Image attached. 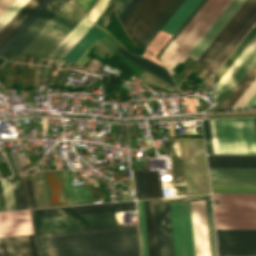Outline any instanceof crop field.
Instances as JSON below:
<instances>
[{
  "label": "crop field",
  "mask_w": 256,
  "mask_h": 256,
  "mask_svg": "<svg viewBox=\"0 0 256 256\" xmlns=\"http://www.w3.org/2000/svg\"><path fill=\"white\" fill-rule=\"evenodd\" d=\"M255 105H256V92H255V94L250 98V100L245 104L244 107L255 106Z\"/></svg>",
  "instance_id": "crop-field-54"
},
{
  "label": "crop field",
  "mask_w": 256,
  "mask_h": 256,
  "mask_svg": "<svg viewBox=\"0 0 256 256\" xmlns=\"http://www.w3.org/2000/svg\"><path fill=\"white\" fill-rule=\"evenodd\" d=\"M139 1L140 0H131V2L126 6V8L121 12V14L118 16L121 23L128 16V14L132 11V9L136 6V4Z\"/></svg>",
  "instance_id": "crop-field-44"
},
{
  "label": "crop field",
  "mask_w": 256,
  "mask_h": 256,
  "mask_svg": "<svg viewBox=\"0 0 256 256\" xmlns=\"http://www.w3.org/2000/svg\"><path fill=\"white\" fill-rule=\"evenodd\" d=\"M92 25L85 16L48 58L61 59Z\"/></svg>",
  "instance_id": "crop-field-20"
},
{
  "label": "crop field",
  "mask_w": 256,
  "mask_h": 256,
  "mask_svg": "<svg viewBox=\"0 0 256 256\" xmlns=\"http://www.w3.org/2000/svg\"><path fill=\"white\" fill-rule=\"evenodd\" d=\"M255 91H256V78L250 84V86L245 90V92L241 95V97L237 100V102L232 106L231 109L243 107L244 104L249 100V98L254 94Z\"/></svg>",
  "instance_id": "crop-field-39"
},
{
  "label": "crop field",
  "mask_w": 256,
  "mask_h": 256,
  "mask_svg": "<svg viewBox=\"0 0 256 256\" xmlns=\"http://www.w3.org/2000/svg\"><path fill=\"white\" fill-rule=\"evenodd\" d=\"M84 16L76 3L69 0L20 55L47 58Z\"/></svg>",
  "instance_id": "crop-field-3"
},
{
  "label": "crop field",
  "mask_w": 256,
  "mask_h": 256,
  "mask_svg": "<svg viewBox=\"0 0 256 256\" xmlns=\"http://www.w3.org/2000/svg\"><path fill=\"white\" fill-rule=\"evenodd\" d=\"M130 210H135L133 201L37 209V210H31V212H32V218L37 219V218L73 216V215L130 211Z\"/></svg>",
  "instance_id": "crop-field-13"
},
{
  "label": "crop field",
  "mask_w": 256,
  "mask_h": 256,
  "mask_svg": "<svg viewBox=\"0 0 256 256\" xmlns=\"http://www.w3.org/2000/svg\"><path fill=\"white\" fill-rule=\"evenodd\" d=\"M140 206H141L142 227H143V235H144V243H145V254H146V256H148V248H147V238H146V227H145V216H144L143 201H140Z\"/></svg>",
  "instance_id": "crop-field-46"
},
{
  "label": "crop field",
  "mask_w": 256,
  "mask_h": 256,
  "mask_svg": "<svg viewBox=\"0 0 256 256\" xmlns=\"http://www.w3.org/2000/svg\"><path fill=\"white\" fill-rule=\"evenodd\" d=\"M130 0H119L116 4L117 14L124 9V7L129 3Z\"/></svg>",
  "instance_id": "crop-field-52"
},
{
  "label": "crop field",
  "mask_w": 256,
  "mask_h": 256,
  "mask_svg": "<svg viewBox=\"0 0 256 256\" xmlns=\"http://www.w3.org/2000/svg\"><path fill=\"white\" fill-rule=\"evenodd\" d=\"M68 0H54L46 10L33 22V24L21 35V37L8 49L3 57L10 58L14 54H20L23 49L34 39L44 26L66 4Z\"/></svg>",
  "instance_id": "crop-field-14"
},
{
  "label": "crop field",
  "mask_w": 256,
  "mask_h": 256,
  "mask_svg": "<svg viewBox=\"0 0 256 256\" xmlns=\"http://www.w3.org/2000/svg\"><path fill=\"white\" fill-rule=\"evenodd\" d=\"M230 0H207L175 39L187 54Z\"/></svg>",
  "instance_id": "crop-field-8"
},
{
  "label": "crop field",
  "mask_w": 256,
  "mask_h": 256,
  "mask_svg": "<svg viewBox=\"0 0 256 256\" xmlns=\"http://www.w3.org/2000/svg\"><path fill=\"white\" fill-rule=\"evenodd\" d=\"M41 250L138 242L134 226L35 235ZM42 256H140L138 243L41 251Z\"/></svg>",
  "instance_id": "crop-field-1"
},
{
  "label": "crop field",
  "mask_w": 256,
  "mask_h": 256,
  "mask_svg": "<svg viewBox=\"0 0 256 256\" xmlns=\"http://www.w3.org/2000/svg\"><path fill=\"white\" fill-rule=\"evenodd\" d=\"M213 193H256V183H211Z\"/></svg>",
  "instance_id": "crop-field-31"
},
{
  "label": "crop field",
  "mask_w": 256,
  "mask_h": 256,
  "mask_svg": "<svg viewBox=\"0 0 256 256\" xmlns=\"http://www.w3.org/2000/svg\"><path fill=\"white\" fill-rule=\"evenodd\" d=\"M0 211H1V209H0Z\"/></svg>",
  "instance_id": "crop-field-57"
},
{
  "label": "crop field",
  "mask_w": 256,
  "mask_h": 256,
  "mask_svg": "<svg viewBox=\"0 0 256 256\" xmlns=\"http://www.w3.org/2000/svg\"><path fill=\"white\" fill-rule=\"evenodd\" d=\"M256 77V63L251 67L243 79L238 83V85L232 90V92L227 96L223 103L218 107L220 109H230L231 106L236 102L244 90L249 86V84Z\"/></svg>",
  "instance_id": "crop-field-28"
},
{
  "label": "crop field",
  "mask_w": 256,
  "mask_h": 256,
  "mask_svg": "<svg viewBox=\"0 0 256 256\" xmlns=\"http://www.w3.org/2000/svg\"><path fill=\"white\" fill-rule=\"evenodd\" d=\"M175 256H194L189 202L170 203Z\"/></svg>",
  "instance_id": "crop-field-10"
},
{
  "label": "crop field",
  "mask_w": 256,
  "mask_h": 256,
  "mask_svg": "<svg viewBox=\"0 0 256 256\" xmlns=\"http://www.w3.org/2000/svg\"><path fill=\"white\" fill-rule=\"evenodd\" d=\"M206 2V0H202L199 5L194 9V11L189 15V17L185 20V22L180 26V28L173 35L174 39L181 32V30L186 26V24L191 20V18L196 14V12L201 8V6Z\"/></svg>",
  "instance_id": "crop-field-45"
},
{
  "label": "crop field",
  "mask_w": 256,
  "mask_h": 256,
  "mask_svg": "<svg viewBox=\"0 0 256 256\" xmlns=\"http://www.w3.org/2000/svg\"><path fill=\"white\" fill-rule=\"evenodd\" d=\"M200 1L201 0H185L161 31L173 35Z\"/></svg>",
  "instance_id": "crop-field-26"
},
{
  "label": "crop field",
  "mask_w": 256,
  "mask_h": 256,
  "mask_svg": "<svg viewBox=\"0 0 256 256\" xmlns=\"http://www.w3.org/2000/svg\"><path fill=\"white\" fill-rule=\"evenodd\" d=\"M29 0H16L0 17V31L9 23V21L20 11V9Z\"/></svg>",
  "instance_id": "crop-field-35"
},
{
  "label": "crop field",
  "mask_w": 256,
  "mask_h": 256,
  "mask_svg": "<svg viewBox=\"0 0 256 256\" xmlns=\"http://www.w3.org/2000/svg\"><path fill=\"white\" fill-rule=\"evenodd\" d=\"M172 0H141L122 23L137 44Z\"/></svg>",
  "instance_id": "crop-field-9"
},
{
  "label": "crop field",
  "mask_w": 256,
  "mask_h": 256,
  "mask_svg": "<svg viewBox=\"0 0 256 256\" xmlns=\"http://www.w3.org/2000/svg\"><path fill=\"white\" fill-rule=\"evenodd\" d=\"M103 32L93 25L62 59L76 62Z\"/></svg>",
  "instance_id": "crop-field-24"
},
{
  "label": "crop field",
  "mask_w": 256,
  "mask_h": 256,
  "mask_svg": "<svg viewBox=\"0 0 256 256\" xmlns=\"http://www.w3.org/2000/svg\"><path fill=\"white\" fill-rule=\"evenodd\" d=\"M206 149L208 154H213L209 120L202 121Z\"/></svg>",
  "instance_id": "crop-field-41"
},
{
  "label": "crop field",
  "mask_w": 256,
  "mask_h": 256,
  "mask_svg": "<svg viewBox=\"0 0 256 256\" xmlns=\"http://www.w3.org/2000/svg\"><path fill=\"white\" fill-rule=\"evenodd\" d=\"M24 180H25L29 205L31 208H36L29 174L24 177Z\"/></svg>",
  "instance_id": "crop-field-43"
},
{
  "label": "crop field",
  "mask_w": 256,
  "mask_h": 256,
  "mask_svg": "<svg viewBox=\"0 0 256 256\" xmlns=\"http://www.w3.org/2000/svg\"><path fill=\"white\" fill-rule=\"evenodd\" d=\"M256 35V27H253L251 31L246 35V37L241 41V43L236 47V49L231 53V55L226 59V61L221 65V67L214 74L215 84L221 78V76L226 72L230 65L235 61V59L240 55V53L245 49L249 42Z\"/></svg>",
  "instance_id": "crop-field-29"
},
{
  "label": "crop field",
  "mask_w": 256,
  "mask_h": 256,
  "mask_svg": "<svg viewBox=\"0 0 256 256\" xmlns=\"http://www.w3.org/2000/svg\"><path fill=\"white\" fill-rule=\"evenodd\" d=\"M115 53L123 56L124 58L130 60L131 62L135 63L136 65H138L139 67L148 71L149 73L167 81L168 83H170L171 85L174 86V84H173L171 78L169 77L165 68H163V67H161L143 57L131 54L127 50L123 49L121 46L115 51Z\"/></svg>",
  "instance_id": "crop-field-21"
},
{
  "label": "crop field",
  "mask_w": 256,
  "mask_h": 256,
  "mask_svg": "<svg viewBox=\"0 0 256 256\" xmlns=\"http://www.w3.org/2000/svg\"><path fill=\"white\" fill-rule=\"evenodd\" d=\"M210 124H211V133H212L214 154H218L213 120H210Z\"/></svg>",
  "instance_id": "crop-field-50"
},
{
  "label": "crop field",
  "mask_w": 256,
  "mask_h": 256,
  "mask_svg": "<svg viewBox=\"0 0 256 256\" xmlns=\"http://www.w3.org/2000/svg\"><path fill=\"white\" fill-rule=\"evenodd\" d=\"M255 121H256V118H255Z\"/></svg>",
  "instance_id": "crop-field-56"
},
{
  "label": "crop field",
  "mask_w": 256,
  "mask_h": 256,
  "mask_svg": "<svg viewBox=\"0 0 256 256\" xmlns=\"http://www.w3.org/2000/svg\"><path fill=\"white\" fill-rule=\"evenodd\" d=\"M245 0H231L226 8L221 12L217 19L207 29L203 36L198 40L194 47L189 51L188 55L194 59L203 53L207 46L217 36L221 29L226 25L230 18L235 14Z\"/></svg>",
  "instance_id": "crop-field-15"
},
{
  "label": "crop field",
  "mask_w": 256,
  "mask_h": 256,
  "mask_svg": "<svg viewBox=\"0 0 256 256\" xmlns=\"http://www.w3.org/2000/svg\"><path fill=\"white\" fill-rule=\"evenodd\" d=\"M53 0H42L31 13L20 23V25L9 35V37L0 45V56L8 47L24 32V30L40 15V13Z\"/></svg>",
  "instance_id": "crop-field-22"
},
{
  "label": "crop field",
  "mask_w": 256,
  "mask_h": 256,
  "mask_svg": "<svg viewBox=\"0 0 256 256\" xmlns=\"http://www.w3.org/2000/svg\"><path fill=\"white\" fill-rule=\"evenodd\" d=\"M109 0H99V2L95 5V7L90 11V13L87 15L89 20L94 23V21L97 19L99 14L102 12V10L105 8L107 2Z\"/></svg>",
  "instance_id": "crop-field-42"
},
{
  "label": "crop field",
  "mask_w": 256,
  "mask_h": 256,
  "mask_svg": "<svg viewBox=\"0 0 256 256\" xmlns=\"http://www.w3.org/2000/svg\"><path fill=\"white\" fill-rule=\"evenodd\" d=\"M211 182H256V169L209 168Z\"/></svg>",
  "instance_id": "crop-field-19"
},
{
  "label": "crop field",
  "mask_w": 256,
  "mask_h": 256,
  "mask_svg": "<svg viewBox=\"0 0 256 256\" xmlns=\"http://www.w3.org/2000/svg\"><path fill=\"white\" fill-rule=\"evenodd\" d=\"M256 61V46L252 51L247 55V57L242 61L238 68L233 72V74L228 78V80L223 84V86L218 90L215 97L219 93L226 91L228 89L234 88L240 79L245 75L249 68Z\"/></svg>",
  "instance_id": "crop-field-27"
},
{
  "label": "crop field",
  "mask_w": 256,
  "mask_h": 256,
  "mask_svg": "<svg viewBox=\"0 0 256 256\" xmlns=\"http://www.w3.org/2000/svg\"><path fill=\"white\" fill-rule=\"evenodd\" d=\"M81 9L86 14L87 11L91 8V6L96 2V0H75Z\"/></svg>",
  "instance_id": "crop-field-47"
},
{
  "label": "crop field",
  "mask_w": 256,
  "mask_h": 256,
  "mask_svg": "<svg viewBox=\"0 0 256 256\" xmlns=\"http://www.w3.org/2000/svg\"><path fill=\"white\" fill-rule=\"evenodd\" d=\"M219 154H256L254 118L214 120Z\"/></svg>",
  "instance_id": "crop-field-5"
},
{
  "label": "crop field",
  "mask_w": 256,
  "mask_h": 256,
  "mask_svg": "<svg viewBox=\"0 0 256 256\" xmlns=\"http://www.w3.org/2000/svg\"><path fill=\"white\" fill-rule=\"evenodd\" d=\"M0 203H1V205H5L4 198H3V193H2V188H1V183H0Z\"/></svg>",
  "instance_id": "crop-field-55"
},
{
  "label": "crop field",
  "mask_w": 256,
  "mask_h": 256,
  "mask_svg": "<svg viewBox=\"0 0 256 256\" xmlns=\"http://www.w3.org/2000/svg\"><path fill=\"white\" fill-rule=\"evenodd\" d=\"M1 183L7 210H15L10 181L7 182V180L4 179L1 180Z\"/></svg>",
  "instance_id": "crop-field-38"
},
{
  "label": "crop field",
  "mask_w": 256,
  "mask_h": 256,
  "mask_svg": "<svg viewBox=\"0 0 256 256\" xmlns=\"http://www.w3.org/2000/svg\"><path fill=\"white\" fill-rule=\"evenodd\" d=\"M133 178L137 198H148L143 171H133Z\"/></svg>",
  "instance_id": "crop-field-36"
},
{
  "label": "crop field",
  "mask_w": 256,
  "mask_h": 256,
  "mask_svg": "<svg viewBox=\"0 0 256 256\" xmlns=\"http://www.w3.org/2000/svg\"><path fill=\"white\" fill-rule=\"evenodd\" d=\"M216 229H256V194H213Z\"/></svg>",
  "instance_id": "crop-field-4"
},
{
  "label": "crop field",
  "mask_w": 256,
  "mask_h": 256,
  "mask_svg": "<svg viewBox=\"0 0 256 256\" xmlns=\"http://www.w3.org/2000/svg\"><path fill=\"white\" fill-rule=\"evenodd\" d=\"M256 25V24H255Z\"/></svg>",
  "instance_id": "crop-field-58"
},
{
  "label": "crop field",
  "mask_w": 256,
  "mask_h": 256,
  "mask_svg": "<svg viewBox=\"0 0 256 256\" xmlns=\"http://www.w3.org/2000/svg\"><path fill=\"white\" fill-rule=\"evenodd\" d=\"M0 172L3 178L4 175H6V177L11 176V172L6 162L0 163Z\"/></svg>",
  "instance_id": "crop-field-49"
},
{
  "label": "crop field",
  "mask_w": 256,
  "mask_h": 256,
  "mask_svg": "<svg viewBox=\"0 0 256 256\" xmlns=\"http://www.w3.org/2000/svg\"><path fill=\"white\" fill-rule=\"evenodd\" d=\"M149 198L162 197L158 171H144Z\"/></svg>",
  "instance_id": "crop-field-33"
},
{
  "label": "crop field",
  "mask_w": 256,
  "mask_h": 256,
  "mask_svg": "<svg viewBox=\"0 0 256 256\" xmlns=\"http://www.w3.org/2000/svg\"><path fill=\"white\" fill-rule=\"evenodd\" d=\"M144 205H145V215H146V224H147V233H148L149 254L150 256H154L148 200L144 201Z\"/></svg>",
  "instance_id": "crop-field-40"
},
{
  "label": "crop field",
  "mask_w": 256,
  "mask_h": 256,
  "mask_svg": "<svg viewBox=\"0 0 256 256\" xmlns=\"http://www.w3.org/2000/svg\"><path fill=\"white\" fill-rule=\"evenodd\" d=\"M183 1L184 0H173L171 4L167 7V9L158 18V20L144 35V37L139 41L138 45L146 48L147 45L157 35L162 26L167 22V20L172 16V14L177 10V8L182 4Z\"/></svg>",
  "instance_id": "crop-field-25"
},
{
  "label": "crop field",
  "mask_w": 256,
  "mask_h": 256,
  "mask_svg": "<svg viewBox=\"0 0 256 256\" xmlns=\"http://www.w3.org/2000/svg\"><path fill=\"white\" fill-rule=\"evenodd\" d=\"M33 234L28 210L0 212V237Z\"/></svg>",
  "instance_id": "crop-field-17"
},
{
  "label": "crop field",
  "mask_w": 256,
  "mask_h": 256,
  "mask_svg": "<svg viewBox=\"0 0 256 256\" xmlns=\"http://www.w3.org/2000/svg\"><path fill=\"white\" fill-rule=\"evenodd\" d=\"M0 256H40L33 235L0 238Z\"/></svg>",
  "instance_id": "crop-field-18"
},
{
  "label": "crop field",
  "mask_w": 256,
  "mask_h": 256,
  "mask_svg": "<svg viewBox=\"0 0 256 256\" xmlns=\"http://www.w3.org/2000/svg\"><path fill=\"white\" fill-rule=\"evenodd\" d=\"M209 167L256 168V156H207Z\"/></svg>",
  "instance_id": "crop-field-23"
},
{
  "label": "crop field",
  "mask_w": 256,
  "mask_h": 256,
  "mask_svg": "<svg viewBox=\"0 0 256 256\" xmlns=\"http://www.w3.org/2000/svg\"><path fill=\"white\" fill-rule=\"evenodd\" d=\"M35 234L116 227L114 213L32 220Z\"/></svg>",
  "instance_id": "crop-field-7"
},
{
  "label": "crop field",
  "mask_w": 256,
  "mask_h": 256,
  "mask_svg": "<svg viewBox=\"0 0 256 256\" xmlns=\"http://www.w3.org/2000/svg\"><path fill=\"white\" fill-rule=\"evenodd\" d=\"M195 256H209L204 201L190 202Z\"/></svg>",
  "instance_id": "crop-field-16"
},
{
  "label": "crop field",
  "mask_w": 256,
  "mask_h": 256,
  "mask_svg": "<svg viewBox=\"0 0 256 256\" xmlns=\"http://www.w3.org/2000/svg\"><path fill=\"white\" fill-rule=\"evenodd\" d=\"M256 45V36L246 47V49L241 53V55L236 59V61L231 65L227 72L222 76V78L215 85V92L221 87V85L226 81V79L231 75V73L236 69V67L241 63V61L246 57V55L251 51V49Z\"/></svg>",
  "instance_id": "crop-field-34"
},
{
  "label": "crop field",
  "mask_w": 256,
  "mask_h": 256,
  "mask_svg": "<svg viewBox=\"0 0 256 256\" xmlns=\"http://www.w3.org/2000/svg\"><path fill=\"white\" fill-rule=\"evenodd\" d=\"M106 33H107V32H104V33L98 38V40L96 41L97 44H98L99 41L106 35ZM96 42H95V43H96ZM95 43H94V44H95ZM94 44H93V45H94ZM97 44H96V45H97ZM96 45H95V46H96ZM91 48H92V47H91ZM89 49H90V48H89ZM89 49L83 54V56L77 61V63L83 64V63L88 59V57L86 56V54L88 53Z\"/></svg>",
  "instance_id": "crop-field-51"
},
{
  "label": "crop field",
  "mask_w": 256,
  "mask_h": 256,
  "mask_svg": "<svg viewBox=\"0 0 256 256\" xmlns=\"http://www.w3.org/2000/svg\"><path fill=\"white\" fill-rule=\"evenodd\" d=\"M155 256H174L169 204L150 205Z\"/></svg>",
  "instance_id": "crop-field-12"
},
{
  "label": "crop field",
  "mask_w": 256,
  "mask_h": 256,
  "mask_svg": "<svg viewBox=\"0 0 256 256\" xmlns=\"http://www.w3.org/2000/svg\"><path fill=\"white\" fill-rule=\"evenodd\" d=\"M15 0H0V16Z\"/></svg>",
  "instance_id": "crop-field-48"
},
{
  "label": "crop field",
  "mask_w": 256,
  "mask_h": 256,
  "mask_svg": "<svg viewBox=\"0 0 256 256\" xmlns=\"http://www.w3.org/2000/svg\"><path fill=\"white\" fill-rule=\"evenodd\" d=\"M186 56L187 55L181 51V49L178 47L173 39L172 42L165 49L164 53L161 54L160 60L172 75L173 71L171 70L179 61L182 62Z\"/></svg>",
  "instance_id": "crop-field-30"
},
{
  "label": "crop field",
  "mask_w": 256,
  "mask_h": 256,
  "mask_svg": "<svg viewBox=\"0 0 256 256\" xmlns=\"http://www.w3.org/2000/svg\"><path fill=\"white\" fill-rule=\"evenodd\" d=\"M19 186L20 189L13 192L16 210L28 209L23 182Z\"/></svg>",
  "instance_id": "crop-field-37"
},
{
  "label": "crop field",
  "mask_w": 256,
  "mask_h": 256,
  "mask_svg": "<svg viewBox=\"0 0 256 256\" xmlns=\"http://www.w3.org/2000/svg\"><path fill=\"white\" fill-rule=\"evenodd\" d=\"M137 208H138V218H139V228H140V238H141L142 256H144V248H143V238H142V227H141V219H140L139 201H137Z\"/></svg>",
  "instance_id": "crop-field-53"
},
{
  "label": "crop field",
  "mask_w": 256,
  "mask_h": 256,
  "mask_svg": "<svg viewBox=\"0 0 256 256\" xmlns=\"http://www.w3.org/2000/svg\"><path fill=\"white\" fill-rule=\"evenodd\" d=\"M219 256H256V230H216Z\"/></svg>",
  "instance_id": "crop-field-11"
},
{
  "label": "crop field",
  "mask_w": 256,
  "mask_h": 256,
  "mask_svg": "<svg viewBox=\"0 0 256 256\" xmlns=\"http://www.w3.org/2000/svg\"><path fill=\"white\" fill-rule=\"evenodd\" d=\"M51 207L93 203L90 188L72 187L73 172H44Z\"/></svg>",
  "instance_id": "crop-field-6"
},
{
  "label": "crop field",
  "mask_w": 256,
  "mask_h": 256,
  "mask_svg": "<svg viewBox=\"0 0 256 256\" xmlns=\"http://www.w3.org/2000/svg\"><path fill=\"white\" fill-rule=\"evenodd\" d=\"M40 0H30L21 11L0 32V43L11 33V31L25 18V16L38 4Z\"/></svg>",
  "instance_id": "crop-field-32"
},
{
  "label": "crop field",
  "mask_w": 256,
  "mask_h": 256,
  "mask_svg": "<svg viewBox=\"0 0 256 256\" xmlns=\"http://www.w3.org/2000/svg\"><path fill=\"white\" fill-rule=\"evenodd\" d=\"M256 21V0H246L198 61L213 74Z\"/></svg>",
  "instance_id": "crop-field-2"
}]
</instances>
